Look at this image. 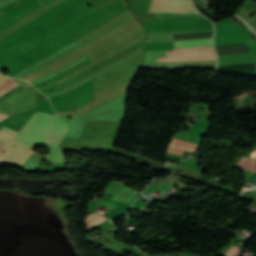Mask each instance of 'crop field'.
<instances>
[{
  "mask_svg": "<svg viewBox=\"0 0 256 256\" xmlns=\"http://www.w3.org/2000/svg\"><path fill=\"white\" fill-rule=\"evenodd\" d=\"M8 78L0 74V83L4 82Z\"/></svg>",
  "mask_w": 256,
  "mask_h": 256,
  "instance_id": "obj_16",
  "label": "crop field"
},
{
  "mask_svg": "<svg viewBox=\"0 0 256 256\" xmlns=\"http://www.w3.org/2000/svg\"><path fill=\"white\" fill-rule=\"evenodd\" d=\"M8 116L0 114V121L4 120L5 118H7Z\"/></svg>",
  "mask_w": 256,
  "mask_h": 256,
  "instance_id": "obj_17",
  "label": "crop field"
},
{
  "mask_svg": "<svg viewBox=\"0 0 256 256\" xmlns=\"http://www.w3.org/2000/svg\"><path fill=\"white\" fill-rule=\"evenodd\" d=\"M212 45V39L174 42V48Z\"/></svg>",
  "mask_w": 256,
  "mask_h": 256,
  "instance_id": "obj_10",
  "label": "crop field"
},
{
  "mask_svg": "<svg viewBox=\"0 0 256 256\" xmlns=\"http://www.w3.org/2000/svg\"><path fill=\"white\" fill-rule=\"evenodd\" d=\"M66 133V123L59 115L37 112L13 140L24 144L45 146L50 153L44 159L65 162L64 155L58 146Z\"/></svg>",
  "mask_w": 256,
  "mask_h": 256,
  "instance_id": "obj_1",
  "label": "crop field"
},
{
  "mask_svg": "<svg viewBox=\"0 0 256 256\" xmlns=\"http://www.w3.org/2000/svg\"><path fill=\"white\" fill-rule=\"evenodd\" d=\"M99 205H103V206H106V207H109V208H115V204H111V203H108V202H105V201H99V203H98Z\"/></svg>",
  "mask_w": 256,
  "mask_h": 256,
  "instance_id": "obj_15",
  "label": "crop field"
},
{
  "mask_svg": "<svg viewBox=\"0 0 256 256\" xmlns=\"http://www.w3.org/2000/svg\"><path fill=\"white\" fill-rule=\"evenodd\" d=\"M105 193L113 194L114 200L122 201L129 203L130 200L135 196L137 191L132 189L126 188L124 186L118 185L110 181L106 189L104 190Z\"/></svg>",
  "mask_w": 256,
  "mask_h": 256,
  "instance_id": "obj_5",
  "label": "crop field"
},
{
  "mask_svg": "<svg viewBox=\"0 0 256 256\" xmlns=\"http://www.w3.org/2000/svg\"><path fill=\"white\" fill-rule=\"evenodd\" d=\"M184 149L194 151L200 149V145L185 142L179 139H173L168 152L182 155Z\"/></svg>",
  "mask_w": 256,
  "mask_h": 256,
  "instance_id": "obj_9",
  "label": "crop field"
},
{
  "mask_svg": "<svg viewBox=\"0 0 256 256\" xmlns=\"http://www.w3.org/2000/svg\"><path fill=\"white\" fill-rule=\"evenodd\" d=\"M217 28L223 29L226 32L234 35V36H240L243 38H246L248 40H251L250 37L247 35V33L243 30L241 26L233 27L229 18L215 23ZM252 41V40H251Z\"/></svg>",
  "mask_w": 256,
  "mask_h": 256,
  "instance_id": "obj_7",
  "label": "crop field"
},
{
  "mask_svg": "<svg viewBox=\"0 0 256 256\" xmlns=\"http://www.w3.org/2000/svg\"><path fill=\"white\" fill-rule=\"evenodd\" d=\"M148 12L198 13L189 0H152Z\"/></svg>",
  "mask_w": 256,
  "mask_h": 256,
  "instance_id": "obj_4",
  "label": "crop field"
},
{
  "mask_svg": "<svg viewBox=\"0 0 256 256\" xmlns=\"http://www.w3.org/2000/svg\"><path fill=\"white\" fill-rule=\"evenodd\" d=\"M160 21H207L200 14H157Z\"/></svg>",
  "mask_w": 256,
  "mask_h": 256,
  "instance_id": "obj_6",
  "label": "crop field"
},
{
  "mask_svg": "<svg viewBox=\"0 0 256 256\" xmlns=\"http://www.w3.org/2000/svg\"><path fill=\"white\" fill-rule=\"evenodd\" d=\"M167 58L157 59L158 62L188 61V60H215L212 47L197 49H175L166 52Z\"/></svg>",
  "mask_w": 256,
  "mask_h": 256,
  "instance_id": "obj_3",
  "label": "crop field"
},
{
  "mask_svg": "<svg viewBox=\"0 0 256 256\" xmlns=\"http://www.w3.org/2000/svg\"><path fill=\"white\" fill-rule=\"evenodd\" d=\"M104 220L106 219L103 216L95 212L85 218L86 228L88 229Z\"/></svg>",
  "mask_w": 256,
  "mask_h": 256,
  "instance_id": "obj_12",
  "label": "crop field"
},
{
  "mask_svg": "<svg viewBox=\"0 0 256 256\" xmlns=\"http://www.w3.org/2000/svg\"><path fill=\"white\" fill-rule=\"evenodd\" d=\"M17 132L3 127L0 129V165L21 167L35 149L34 146L11 141Z\"/></svg>",
  "mask_w": 256,
  "mask_h": 256,
  "instance_id": "obj_2",
  "label": "crop field"
},
{
  "mask_svg": "<svg viewBox=\"0 0 256 256\" xmlns=\"http://www.w3.org/2000/svg\"><path fill=\"white\" fill-rule=\"evenodd\" d=\"M238 167L250 171L255 172L256 171V160L242 157L240 163L238 164Z\"/></svg>",
  "mask_w": 256,
  "mask_h": 256,
  "instance_id": "obj_11",
  "label": "crop field"
},
{
  "mask_svg": "<svg viewBox=\"0 0 256 256\" xmlns=\"http://www.w3.org/2000/svg\"><path fill=\"white\" fill-rule=\"evenodd\" d=\"M243 43H249V42L240 38L232 37L227 33L216 29L215 45H234V44H243Z\"/></svg>",
  "mask_w": 256,
  "mask_h": 256,
  "instance_id": "obj_8",
  "label": "crop field"
},
{
  "mask_svg": "<svg viewBox=\"0 0 256 256\" xmlns=\"http://www.w3.org/2000/svg\"><path fill=\"white\" fill-rule=\"evenodd\" d=\"M12 82H14V81L10 78V79H8L7 81H5L4 83H2V84L0 85V91H1L2 89L6 88L8 85H10Z\"/></svg>",
  "mask_w": 256,
  "mask_h": 256,
  "instance_id": "obj_14",
  "label": "crop field"
},
{
  "mask_svg": "<svg viewBox=\"0 0 256 256\" xmlns=\"http://www.w3.org/2000/svg\"><path fill=\"white\" fill-rule=\"evenodd\" d=\"M238 250H239L238 247L232 246V248L227 253H225L223 256H235Z\"/></svg>",
  "mask_w": 256,
  "mask_h": 256,
  "instance_id": "obj_13",
  "label": "crop field"
}]
</instances>
